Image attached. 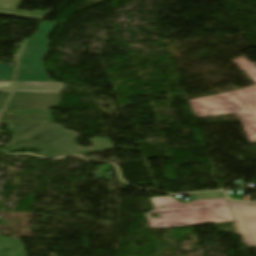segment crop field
<instances>
[{
    "label": "crop field",
    "mask_w": 256,
    "mask_h": 256,
    "mask_svg": "<svg viewBox=\"0 0 256 256\" xmlns=\"http://www.w3.org/2000/svg\"><path fill=\"white\" fill-rule=\"evenodd\" d=\"M0 122L16 123L7 128L13 135L66 154L91 153L112 148L109 140L100 137L90 139L94 145L92 149L77 146L75 139L78 134L53 125L48 110L5 109Z\"/></svg>",
    "instance_id": "crop-field-1"
},
{
    "label": "crop field",
    "mask_w": 256,
    "mask_h": 256,
    "mask_svg": "<svg viewBox=\"0 0 256 256\" xmlns=\"http://www.w3.org/2000/svg\"><path fill=\"white\" fill-rule=\"evenodd\" d=\"M153 210L144 214L150 229L235 221L225 198L180 203L170 196L150 198ZM152 214H158L152 218Z\"/></svg>",
    "instance_id": "crop-field-2"
},
{
    "label": "crop field",
    "mask_w": 256,
    "mask_h": 256,
    "mask_svg": "<svg viewBox=\"0 0 256 256\" xmlns=\"http://www.w3.org/2000/svg\"><path fill=\"white\" fill-rule=\"evenodd\" d=\"M233 62L256 83V67L244 56ZM194 115L211 117L237 113L251 143H256V87L188 101Z\"/></svg>",
    "instance_id": "crop-field-3"
},
{
    "label": "crop field",
    "mask_w": 256,
    "mask_h": 256,
    "mask_svg": "<svg viewBox=\"0 0 256 256\" xmlns=\"http://www.w3.org/2000/svg\"><path fill=\"white\" fill-rule=\"evenodd\" d=\"M56 22H44L24 49L17 80L51 82L42 63L50 44L46 38Z\"/></svg>",
    "instance_id": "crop-field-4"
},
{
    "label": "crop field",
    "mask_w": 256,
    "mask_h": 256,
    "mask_svg": "<svg viewBox=\"0 0 256 256\" xmlns=\"http://www.w3.org/2000/svg\"><path fill=\"white\" fill-rule=\"evenodd\" d=\"M228 203L245 245L256 246V204Z\"/></svg>",
    "instance_id": "crop-field-5"
},
{
    "label": "crop field",
    "mask_w": 256,
    "mask_h": 256,
    "mask_svg": "<svg viewBox=\"0 0 256 256\" xmlns=\"http://www.w3.org/2000/svg\"><path fill=\"white\" fill-rule=\"evenodd\" d=\"M58 94L14 92L6 108L54 109Z\"/></svg>",
    "instance_id": "crop-field-6"
},
{
    "label": "crop field",
    "mask_w": 256,
    "mask_h": 256,
    "mask_svg": "<svg viewBox=\"0 0 256 256\" xmlns=\"http://www.w3.org/2000/svg\"><path fill=\"white\" fill-rule=\"evenodd\" d=\"M22 0H0V15L41 20L47 13L17 10Z\"/></svg>",
    "instance_id": "crop-field-7"
},
{
    "label": "crop field",
    "mask_w": 256,
    "mask_h": 256,
    "mask_svg": "<svg viewBox=\"0 0 256 256\" xmlns=\"http://www.w3.org/2000/svg\"><path fill=\"white\" fill-rule=\"evenodd\" d=\"M63 89H64V83L15 81V85H14V91H22V92L59 93L63 91Z\"/></svg>",
    "instance_id": "crop-field-8"
},
{
    "label": "crop field",
    "mask_w": 256,
    "mask_h": 256,
    "mask_svg": "<svg viewBox=\"0 0 256 256\" xmlns=\"http://www.w3.org/2000/svg\"><path fill=\"white\" fill-rule=\"evenodd\" d=\"M36 147H38V148L35 150L39 151L42 149L40 154H42L43 152H46L42 155L47 158H56V157L65 156L64 154H61L59 152H56L54 150H51V149L41 146L39 144L32 143V142H29V141H26V140H23V139L14 137V136L11 137V147L8 149V151H17L21 148L32 150Z\"/></svg>",
    "instance_id": "crop-field-9"
},
{
    "label": "crop field",
    "mask_w": 256,
    "mask_h": 256,
    "mask_svg": "<svg viewBox=\"0 0 256 256\" xmlns=\"http://www.w3.org/2000/svg\"><path fill=\"white\" fill-rule=\"evenodd\" d=\"M10 251L6 252L5 249ZM0 256H26L19 239L0 237Z\"/></svg>",
    "instance_id": "crop-field-10"
},
{
    "label": "crop field",
    "mask_w": 256,
    "mask_h": 256,
    "mask_svg": "<svg viewBox=\"0 0 256 256\" xmlns=\"http://www.w3.org/2000/svg\"><path fill=\"white\" fill-rule=\"evenodd\" d=\"M14 68L0 63V80H12Z\"/></svg>",
    "instance_id": "crop-field-11"
},
{
    "label": "crop field",
    "mask_w": 256,
    "mask_h": 256,
    "mask_svg": "<svg viewBox=\"0 0 256 256\" xmlns=\"http://www.w3.org/2000/svg\"><path fill=\"white\" fill-rule=\"evenodd\" d=\"M12 82H1L0 81V91H11Z\"/></svg>",
    "instance_id": "crop-field-12"
},
{
    "label": "crop field",
    "mask_w": 256,
    "mask_h": 256,
    "mask_svg": "<svg viewBox=\"0 0 256 256\" xmlns=\"http://www.w3.org/2000/svg\"><path fill=\"white\" fill-rule=\"evenodd\" d=\"M10 92H2L1 93V96H0V108L3 107L8 95H9Z\"/></svg>",
    "instance_id": "crop-field-13"
},
{
    "label": "crop field",
    "mask_w": 256,
    "mask_h": 256,
    "mask_svg": "<svg viewBox=\"0 0 256 256\" xmlns=\"http://www.w3.org/2000/svg\"><path fill=\"white\" fill-rule=\"evenodd\" d=\"M27 40H28V39H27ZM27 40H25V41L23 42V44H22V46H21V48H20V50H19V52H18V54H17V56H16V59H17V60H18V57H19V55H20V53H21V51H22V49H23L25 43L27 42Z\"/></svg>",
    "instance_id": "crop-field-14"
},
{
    "label": "crop field",
    "mask_w": 256,
    "mask_h": 256,
    "mask_svg": "<svg viewBox=\"0 0 256 256\" xmlns=\"http://www.w3.org/2000/svg\"><path fill=\"white\" fill-rule=\"evenodd\" d=\"M255 66H256V62L255 63H253Z\"/></svg>",
    "instance_id": "crop-field-15"
},
{
    "label": "crop field",
    "mask_w": 256,
    "mask_h": 256,
    "mask_svg": "<svg viewBox=\"0 0 256 256\" xmlns=\"http://www.w3.org/2000/svg\"><path fill=\"white\" fill-rule=\"evenodd\" d=\"M1 111V110H0Z\"/></svg>",
    "instance_id": "crop-field-16"
}]
</instances>
